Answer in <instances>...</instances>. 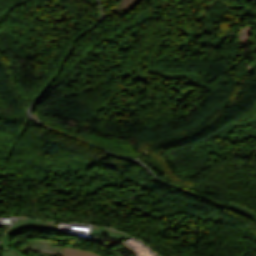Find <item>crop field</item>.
<instances>
[{
    "mask_svg": "<svg viewBox=\"0 0 256 256\" xmlns=\"http://www.w3.org/2000/svg\"><path fill=\"white\" fill-rule=\"evenodd\" d=\"M64 256H98L96 254L64 247Z\"/></svg>",
    "mask_w": 256,
    "mask_h": 256,
    "instance_id": "1",
    "label": "crop field"
},
{
    "mask_svg": "<svg viewBox=\"0 0 256 256\" xmlns=\"http://www.w3.org/2000/svg\"><path fill=\"white\" fill-rule=\"evenodd\" d=\"M4 252H6V253H4ZM2 255H3V256H16V255L13 254L10 250L3 251V252H2Z\"/></svg>",
    "mask_w": 256,
    "mask_h": 256,
    "instance_id": "2",
    "label": "crop field"
}]
</instances>
